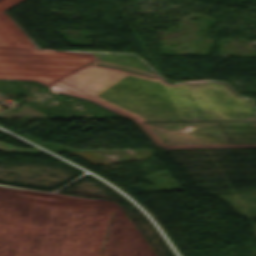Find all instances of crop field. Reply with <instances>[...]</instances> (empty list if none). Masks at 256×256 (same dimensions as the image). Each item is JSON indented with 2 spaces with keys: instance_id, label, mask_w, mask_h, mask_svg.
<instances>
[{
  "instance_id": "obj_1",
  "label": "crop field",
  "mask_w": 256,
  "mask_h": 256,
  "mask_svg": "<svg viewBox=\"0 0 256 256\" xmlns=\"http://www.w3.org/2000/svg\"><path fill=\"white\" fill-rule=\"evenodd\" d=\"M0 150L5 152L40 155L39 149H20L13 145H10L7 143H1V142H0Z\"/></svg>"
}]
</instances>
